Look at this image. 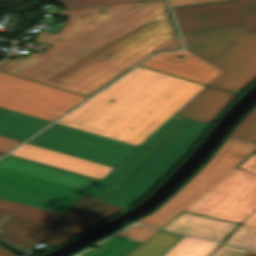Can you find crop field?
<instances>
[{
	"label": "crop field",
	"mask_w": 256,
	"mask_h": 256,
	"mask_svg": "<svg viewBox=\"0 0 256 256\" xmlns=\"http://www.w3.org/2000/svg\"><path fill=\"white\" fill-rule=\"evenodd\" d=\"M245 256H256V251L250 250Z\"/></svg>",
	"instance_id": "crop-field-34"
},
{
	"label": "crop field",
	"mask_w": 256,
	"mask_h": 256,
	"mask_svg": "<svg viewBox=\"0 0 256 256\" xmlns=\"http://www.w3.org/2000/svg\"><path fill=\"white\" fill-rule=\"evenodd\" d=\"M140 243L120 236H113L97 245L100 250L89 249L78 256H125Z\"/></svg>",
	"instance_id": "crop-field-22"
},
{
	"label": "crop field",
	"mask_w": 256,
	"mask_h": 256,
	"mask_svg": "<svg viewBox=\"0 0 256 256\" xmlns=\"http://www.w3.org/2000/svg\"><path fill=\"white\" fill-rule=\"evenodd\" d=\"M1 61V60H0Z\"/></svg>",
	"instance_id": "crop-field-36"
},
{
	"label": "crop field",
	"mask_w": 256,
	"mask_h": 256,
	"mask_svg": "<svg viewBox=\"0 0 256 256\" xmlns=\"http://www.w3.org/2000/svg\"><path fill=\"white\" fill-rule=\"evenodd\" d=\"M0 213L49 225L60 213L0 199Z\"/></svg>",
	"instance_id": "crop-field-19"
},
{
	"label": "crop field",
	"mask_w": 256,
	"mask_h": 256,
	"mask_svg": "<svg viewBox=\"0 0 256 256\" xmlns=\"http://www.w3.org/2000/svg\"><path fill=\"white\" fill-rule=\"evenodd\" d=\"M0 96L61 113L86 98L3 72H0Z\"/></svg>",
	"instance_id": "crop-field-10"
},
{
	"label": "crop field",
	"mask_w": 256,
	"mask_h": 256,
	"mask_svg": "<svg viewBox=\"0 0 256 256\" xmlns=\"http://www.w3.org/2000/svg\"><path fill=\"white\" fill-rule=\"evenodd\" d=\"M239 167L256 174V155ZM209 190L256 202V176L236 168Z\"/></svg>",
	"instance_id": "crop-field-17"
},
{
	"label": "crop field",
	"mask_w": 256,
	"mask_h": 256,
	"mask_svg": "<svg viewBox=\"0 0 256 256\" xmlns=\"http://www.w3.org/2000/svg\"><path fill=\"white\" fill-rule=\"evenodd\" d=\"M51 122L0 108V135L25 141Z\"/></svg>",
	"instance_id": "crop-field-18"
},
{
	"label": "crop field",
	"mask_w": 256,
	"mask_h": 256,
	"mask_svg": "<svg viewBox=\"0 0 256 256\" xmlns=\"http://www.w3.org/2000/svg\"><path fill=\"white\" fill-rule=\"evenodd\" d=\"M86 191L0 167V198L63 213Z\"/></svg>",
	"instance_id": "crop-field-8"
},
{
	"label": "crop field",
	"mask_w": 256,
	"mask_h": 256,
	"mask_svg": "<svg viewBox=\"0 0 256 256\" xmlns=\"http://www.w3.org/2000/svg\"><path fill=\"white\" fill-rule=\"evenodd\" d=\"M181 48H182V44L180 42V39L177 38L175 41H173L172 43L168 44L167 46H165L164 48L160 49L157 52L179 50Z\"/></svg>",
	"instance_id": "crop-field-31"
},
{
	"label": "crop field",
	"mask_w": 256,
	"mask_h": 256,
	"mask_svg": "<svg viewBox=\"0 0 256 256\" xmlns=\"http://www.w3.org/2000/svg\"><path fill=\"white\" fill-rule=\"evenodd\" d=\"M237 225L182 211L163 229L222 242Z\"/></svg>",
	"instance_id": "crop-field-15"
},
{
	"label": "crop field",
	"mask_w": 256,
	"mask_h": 256,
	"mask_svg": "<svg viewBox=\"0 0 256 256\" xmlns=\"http://www.w3.org/2000/svg\"><path fill=\"white\" fill-rule=\"evenodd\" d=\"M255 208L254 202L207 191L184 210L237 223L252 214L242 224L256 227V212L251 213Z\"/></svg>",
	"instance_id": "crop-field-11"
},
{
	"label": "crop field",
	"mask_w": 256,
	"mask_h": 256,
	"mask_svg": "<svg viewBox=\"0 0 256 256\" xmlns=\"http://www.w3.org/2000/svg\"><path fill=\"white\" fill-rule=\"evenodd\" d=\"M121 210L84 194L49 226L11 217L0 227V237L25 250L42 240L55 246Z\"/></svg>",
	"instance_id": "crop-field-5"
},
{
	"label": "crop field",
	"mask_w": 256,
	"mask_h": 256,
	"mask_svg": "<svg viewBox=\"0 0 256 256\" xmlns=\"http://www.w3.org/2000/svg\"><path fill=\"white\" fill-rule=\"evenodd\" d=\"M211 1H219V0H170L172 7L182 6V5H189V4L204 3V2H211Z\"/></svg>",
	"instance_id": "crop-field-30"
},
{
	"label": "crop field",
	"mask_w": 256,
	"mask_h": 256,
	"mask_svg": "<svg viewBox=\"0 0 256 256\" xmlns=\"http://www.w3.org/2000/svg\"><path fill=\"white\" fill-rule=\"evenodd\" d=\"M219 244L183 236L162 256H208Z\"/></svg>",
	"instance_id": "crop-field-21"
},
{
	"label": "crop field",
	"mask_w": 256,
	"mask_h": 256,
	"mask_svg": "<svg viewBox=\"0 0 256 256\" xmlns=\"http://www.w3.org/2000/svg\"><path fill=\"white\" fill-rule=\"evenodd\" d=\"M10 154L36 160L66 170L101 179L112 167L31 144H23Z\"/></svg>",
	"instance_id": "crop-field-14"
},
{
	"label": "crop field",
	"mask_w": 256,
	"mask_h": 256,
	"mask_svg": "<svg viewBox=\"0 0 256 256\" xmlns=\"http://www.w3.org/2000/svg\"><path fill=\"white\" fill-rule=\"evenodd\" d=\"M178 54L185 57L176 58ZM141 65L205 84L218 74L216 68L206 64L185 50L157 54Z\"/></svg>",
	"instance_id": "crop-field-13"
},
{
	"label": "crop field",
	"mask_w": 256,
	"mask_h": 256,
	"mask_svg": "<svg viewBox=\"0 0 256 256\" xmlns=\"http://www.w3.org/2000/svg\"><path fill=\"white\" fill-rule=\"evenodd\" d=\"M157 229L145 227V226H132L125 231L119 233L118 235L123 236L125 234H128L129 236L127 238H130L132 240L138 241L142 243L147 238H149L152 234H154Z\"/></svg>",
	"instance_id": "crop-field-26"
},
{
	"label": "crop field",
	"mask_w": 256,
	"mask_h": 256,
	"mask_svg": "<svg viewBox=\"0 0 256 256\" xmlns=\"http://www.w3.org/2000/svg\"><path fill=\"white\" fill-rule=\"evenodd\" d=\"M209 125L173 114L86 194L122 209L128 207L187 153Z\"/></svg>",
	"instance_id": "crop-field-3"
},
{
	"label": "crop field",
	"mask_w": 256,
	"mask_h": 256,
	"mask_svg": "<svg viewBox=\"0 0 256 256\" xmlns=\"http://www.w3.org/2000/svg\"><path fill=\"white\" fill-rule=\"evenodd\" d=\"M182 235L159 230L126 256H161Z\"/></svg>",
	"instance_id": "crop-field-20"
},
{
	"label": "crop field",
	"mask_w": 256,
	"mask_h": 256,
	"mask_svg": "<svg viewBox=\"0 0 256 256\" xmlns=\"http://www.w3.org/2000/svg\"><path fill=\"white\" fill-rule=\"evenodd\" d=\"M224 243L256 249V228L240 225Z\"/></svg>",
	"instance_id": "crop-field-24"
},
{
	"label": "crop field",
	"mask_w": 256,
	"mask_h": 256,
	"mask_svg": "<svg viewBox=\"0 0 256 256\" xmlns=\"http://www.w3.org/2000/svg\"><path fill=\"white\" fill-rule=\"evenodd\" d=\"M11 216L0 214V226L10 218Z\"/></svg>",
	"instance_id": "crop-field-33"
},
{
	"label": "crop field",
	"mask_w": 256,
	"mask_h": 256,
	"mask_svg": "<svg viewBox=\"0 0 256 256\" xmlns=\"http://www.w3.org/2000/svg\"><path fill=\"white\" fill-rule=\"evenodd\" d=\"M202 87L138 67L56 123L138 145Z\"/></svg>",
	"instance_id": "crop-field-2"
},
{
	"label": "crop field",
	"mask_w": 256,
	"mask_h": 256,
	"mask_svg": "<svg viewBox=\"0 0 256 256\" xmlns=\"http://www.w3.org/2000/svg\"><path fill=\"white\" fill-rule=\"evenodd\" d=\"M181 34L186 50L221 70L211 86L240 92L256 79V32L243 24Z\"/></svg>",
	"instance_id": "crop-field-4"
},
{
	"label": "crop field",
	"mask_w": 256,
	"mask_h": 256,
	"mask_svg": "<svg viewBox=\"0 0 256 256\" xmlns=\"http://www.w3.org/2000/svg\"><path fill=\"white\" fill-rule=\"evenodd\" d=\"M4 154H5V153H1V152H0V157L3 156Z\"/></svg>",
	"instance_id": "crop-field-35"
},
{
	"label": "crop field",
	"mask_w": 256,
	"mask_h": 256,
	"mask_svg": "<svg viewBox=\"0 0 256 256\" xmlns=\"http://www.w3.org/2000/svg\"><path fill=\"white\" fill-rule=\"evenodd\" d=\"M0 107L9 109L12 111H16L19 113H23L26 115H30L33 117H37L40 119H44L47 121H51V122L55 121L57 118H59L62 115V114H58V113L44 110L41 108H37V107H33L23 103H19L16 101H12L9 99H5L2 97H0Z\"/></svg>",
	"instance_id": "crop-field-23"
},
{
	"label": "crop field",
	"mask_w": 256,
	"mask_h": 256,
	"mask_svg": "<svg viewBox=\"0 0 256 256\" xmlns=\"http://www.w3.org/2000/svg\"><path fill=\"white\" fill-rule=\"evenodd\" d=\"M27 143L71 154L114 167L136 145L52 124Z\"/></svg>",
	"instance_id": "crop-field-7"
},
{
	"label": "crop field",
	"mask_w": 256,
	"mask_h": 256,
	"mask_svg": "<svg viewBox=\"0 0 256 256\" xmlns=\"http://www.w3.org/2000/svg\"><path fill=\"white\" fill-rule=\"evenodd\" d=\"M229 137L256 143V108L246 116Z\"/></svg>",
	"instance_id": "crop-field-25"
},
{
	"label": "crop field",
	"mask_w": 256,
	"mask_h": 256,
	"mask_svg": "<svg viewBox=\"0 0 256 256\" xmlns=\"http://www.w3.org/2000/svg\"><path fill=\"white\" fill-rule=\"evenodd\" d=\"M181 32L244 23L256 31V0H235L173 9Z\"/></svg>",
	"instance_id": "crop-field-9"
},
{
	"label": "crop field",
	"mask_w": 256,
	"mask_h": 256,
	"mask_svg": "<svg viewBox=\"0 0 256 256\" xmlns=\"http://www.w3.org/2000/svg\"><path fill=\"white\" fill-rule=\"evenodd\" d=\"M167 8L165 0H140L56 11L78 21L59 36L38 31L36 43L53 45L0 71L88 97L176 37Z\"/></svg>",
	"instance_id": "crop-field-1"
},
{
	"label": "crop field",
	"mask_w": 256,
	"mask_h": 256,
	"mask_svg": "<svg viewBox=\"0 0 256 256\" xmlns=\"http://www.w3.org/2000/svg\"><path fill=\"white\" fill-rule=\"evenodd\" d=\"M236 94L205 87L177 115L212 123Z\"/></svg>",
	"instance_id": "crop-field-16"
},
{
	"label": "crop field",
	"mask_w": 256,
	"mask_h": 256,
	"mask_svg": "<svg viewBox=\"0 0 256 256\" xmlns=\"http://www.w3.org/2000/svg\"><path fill=\"white\" fill-rule=\"evenodd\" d=\"M0 166L86 191L99 181V179L73 173L10 154L0 160Z\"/></svg>",
	"instance_id": "crop-field-12"
},
{
	"label": "crop field",
	"mask_w": 256,
	"mask_h": 256,
	"mask_svg": "<svg viewBox=\"0 0 256 256\" xmlns=\"http://www.w3.org/2000/svg\"><path fill=\"white\" fill-rule=\"evenodd\" d=\"M68 9L125 2L132 0H60Z\"/></svg>",
	"instance_id": "crop-field-27"
},
{
	"label": "crop field",
	"mask_w": 256,
	"mask_h": 256,
	"mask_svg": "<svg viewBox=\"0 0 256 256\" xmlns=\"http://www.w3.org/2000/svg\"><path fill=\"white\" fill-rule=\"evenodd\" d=\"M20 143L21 142L14 141V140L4 138V137L0 136V151L7 153L10 150H12L14 147L19 145Z\"/></svg>",
	"instance_id": "crop-field-29"
},
{
	"label": "crop field",
	"mask_w": 256,
	"mask_h": 256,
	"mask_svg": "<svg viewBox=\"0 0 256 256\" xmlns=\"http://www.w3.org/2000/svg\"><path fill=\"white\" fill-rule=\"evenodd\" d=\"M255 148V143L227 138L212 159L177 193L152 214L135 223L161 228L235 169V166Z\"/></svg>",
	"instance_id": "crop-field-6"
},
{
	"label": "crop field",
	"mask_w": 256,
	"mask_h": 256,
	"mask_svg": "<svg viewBox=\"0 0 256 256\" xmlns=\"http://www.w3.org/2000/svg\"><path fill=\"white\" fill-rule=\"evenodd\" d=\"M0 256H15L12 252L0 247Z\"/></svg>",
	"instance_id": "crop-field-32"
},
{
	"label": "crop field",
	"mask_w": 256,
	"mask_h": 256,
	"mask_svg": "<svg viewBox=\"0 0 256 256\" xmlns=\"http://www.w3.org/2000/svg\"><path fill=\"white\" fill-rule=\"evenodd\" d=\"M249 250L222 244L212 256H244Z\"/></svg>",
	"instance_id": "crop-field-28"
}]
</instances>
